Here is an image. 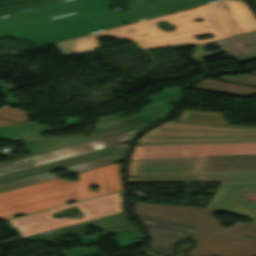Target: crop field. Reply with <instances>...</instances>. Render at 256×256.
I'll return each mask as SVG.
<instances>
[{
  "label": "crop field",
  "instance_id": "obj_20",
  "mask_svg": "<svg viewBox=\"0 0 256 256\" xmlns=\"http://www.w3.org/2000/svg\"><path fill=\"white\" fill-rule=\"evenodd\" d=\"M124 155H125V153L116 155V156H112V157H108V158H104V159H100V160H96V161H92V162H88V163H84V164H80V165L67 167L64 169H66L67 171H69L71 173H74V172H78V171H82V170H86V169L122 161L124 159Z\"/></svg>",
  "mask_w": 256,
  "mask_h": 256
},
{
  "label": "crop field",
  "instance_id": "obj_26",
  "mask_svg": "<svg viewBox=\"0 0 256 256\" xmlns=\"http://www.w3.org/2000/svg\"><path fill=\"white\" fill-rule=\"evenodd\" d=\"M0 87L3 89V91L6 93L7 95V101L10 104H17L19 103L18 100H16L12 95H10L7 91L10 89L9 86L7 84L4 83H0Z\"/></svg>",
  "mask_w": 256,
  "mask_h": 256
},
{
  "label": "crop field",
  "instance_id": "obj_5",
  "mask_svg": "<svg viewBox=\"0 0 256 256\" xmlns=\"http://www.w3.org/2000/svg\"><path fill=\"white\" fill-rule=\"evenodd\" d=\"M181 97L153 104L148 106L145 109V112L142 114H138L136 116H133L131 118H118V117H105V118H99V123L96 126V131L93 136L90 137H85L84 135H77V136H69V137H60V138H42L40 134L29 136L26 138H21L17 140H13L12 142L23 140L26 142V145L30 146L31 149L28 150L30 155H35L135 129H139L144 126H148V124L144 122H148L150 124H153L162 118H164L174 107H170L169 103L175 102L177 103ZM144 123V124H140ZM135 124H140V125H135ZM135 125V126H131ZM126 126H131V127H126ZM126 127V128H122ZM117 128H122L118 130H113ZM108 130H113L109 132H104ZM99 132H104L100 134H96Z\"/></svg>",
  "mask_w": 256,
  "mask_h": 256
},
{
  "label": "crop field",
  "instance_id": "obj_32",
  "mask_svg": "<svg viewBox=\"0 0 256 256\" xmlns=\"http://www.w3.org/2000/svg\"><path fill=\"white\" fill-rule=\"evenodd\" d=\"M11 123H16V122H10V121H7V120H4V119L0 118V126L1 125H6V124H11Z\"/></svg>",
  "mask_w": 256,
  "mask_h": 256
},
{
  "label": "crop field",
  "instance_id": "obj_14",
  "mask_svg": "<svg viewBox=\"0 0 256 256\" xmlns=\"http://www.w3.org/2000/svg\"><path fill=\"white\" fill-rule=\"evenodd\" d=\"M126 148H127V145L120 144V145H117V146H113V147L93 151V152H90V153L70 157V158H67V159H63V160L43 164V165H40V166L20 170V171H17V172L1 175L0 176V184H4V183L12 182V181H15V180H19V179H23V178H27V177H31V176H35V175H39V174H43V173H47L48 170H51V169H54V168H58V167L59 168H64V167H67V166L80 164V163H84V162H88V161H92V160H96V159H100V158H104V157L124 153L126 151Z\"/></svg>",
  "mask_w": 256,
  "mask_h": 256
},
{
  "label": "crop field",
  "instance_id": "obj_35",
  "mask_svg": "<svg viewBox=\"0 0 256 256\" xmlns=\"http://www.w3.org/2000/svg\"><path fill=\"white\" fill-rule=\"evenodd\" d=\"M256 3V0H253Z\"/></svg>",
  "mask_w": 256,
  "mask_h": 256
},
{
  "label": "crop field",
  "instance_id": "obj_21",
  "mask_svg": "<svg viewBox=\"0 0 256 256\" xmlns=\"http://www.w3.org/2000/svg\"><path fill=\"white\" fill-rule=\"evenodd\" d=\"M54 178H58V176L47 173V174L15 181L12 183L0 185V192L18 188V187H22V186H26V185H30V184H34V183H38V182H42V181H46V180H50V179H54Z\"/></svg>",
  "mask_w": 256,
  "mask_h": 256
},
{
  "label": "crop field",
  "instance_id": "obj_15",
  "mask_svg": "<svg viewBox=\"0 0 256 256\" xmlns=\"http://www.w3.org/2000/svg\"><path fill=\"white\" fill-rule=\"evenodd\" d=\"M216 43L222 49L214 52H205L203 48L206 45ZM194 54L192 57L197 63L203 62L201 58L211 56L218 52L226 51L232 58L241 56L247 53L256 51V31L251 33H246L242 35H237L229 38H224L216 41H211L203 44L196 45L193 49Z\"/></svg>",
  "mask_w": 256,
  "mask_h": 256
},
{
  "label": "crop field",
  "instance_id": "obj_33",
  "mask_svg": "<svg viewBox=\"0 0 256 256\" xmlns=\"http://www.w3.org/2000/svg\"><path fill=\"white\" fill-rule=\"evenodd\" d=\"M3 1H11V0H0V2H3Z\"/></svg>",
  "mask_w": 256,
  "mask_h": 256
},
{
  "label": "crop field",
  "instance_id": "obj_8",
  "mask_svg": "<svg viewBox=\"0 0 256 256\" xmlns=\"http://www.w3.org/2000/svg\"><path fill=\"white\" fill-rule=\"evenodd\" d=\"M74 204H76L79 209L90 212L91 216L83 217L78 220H75L73 218L54 219L52 218L50 213V210H53V209H49V210L37 212L34 214L11 219L10 222L12 223L13 227H18L27 222L47 221V226L43 228H39L35 230L24 228V229L18 230L19 233L23 237H25L41 231H45V230H49V229L61 227L64 225H68V224H72V223H76V222H80V221H84V220H88V219H92V218H96V217L121 211L118 192L93 198V199H89V200H85V201L74 203ZM70 205H73V204H70ZM66 206H69V205H66ZM62 207H65V206H62ZM58 208H61V207H58ZM54 209H57V208H54Z\"/></svg>",
  "mask_w": 256,
  "mask_h": 256
},
{
  "label": "crop field",
  "instance_id": "obj_6",
  "mask_svg": "<svg viewBox=\"0 0 256 256\" xmlns=\"http://www.w3.org/2000/svg\"><path fill=\"white\" fill-rule=\"evenodd\" d=\"M134 210L138 215L199 225L256 238V221L253 220L249 224L236 222L232 227L223 229L217 217L211 216L215 210L210 208L134 203Z\"/></svg>",
  "mask_w": 256,
  "mask_h": 256
},
{
  "label": "crop field",
  "instance_id": "obj_27",
  "mask_svg": "<svg viewBox=\"0 0 256 256\" xmlns=\"http://www.w3.org/2000/svg\"><path fill=\"white\" fill-rule=\"evenodd\" d=\"M192 243H186V244H182L179 246V253L176 256H182L184 250L189 247ZM146 252L148 253V255L150 256H162V255H158L156 253L150 252L148 250H146Z\"/></svg>",
  "mask_w": 256,
  "mask_h": 256
},
{
  "label": "crop field",
  "instance_id": "obj_25",
  "mask_svg": "<svg viewBox=\"0 0 256 256\" xmlns=\"http://www.w3.org/2000/svg\"><path fill=\"white\" fill-rule=\"evenodd\" d=\"M64 253L67 256H90V255L98 254L99 252L97 251L96 248L92 247V248H89V249L74 248V249L68 250Z\"/></svg>",
  "mask_w": 256,
  "mask_h": 256
},
{
  "label": "crop field",
  "instance_id": "obj_19",
  "mask_svg": "<svg viewBox=\"0 0 256 256\" xmlns=\"http://www.w3.org/2000/svg\"><path fill=\"white\" fill-rule=\"evenodd\" d=\"M177 120L222 124V125H227L228 123L227 120L223 119L222 113L191 111V110L183 111L182 115Z\"/></svg>",
  "mask_w": 256,
  "mask_h": 256
},
{
  "label": "crop field",
  "instance_id": "obj_30",
  "mask_svg": "<svg viewBox=\"0 0 256 256\" xmlns=\"http://www.w3.org/2000/svg\"><path fill=\"white\" fill-rule=\"evenodd\" d=\"M0 35H12L18 37L13 27L0 29Z\"/></svg>",
  "mask_w": 256,
  "mask_h": 256
},
{
  "label": "crop field",
  "instance_id": "obj_24",
  "mask_svg": "<svg viewBox=\"0 0 256 256\" xmlns=\"http://www.w3.org/2000/svg\"><path fill=\"white\" fill-rule=\"evenodd\" d=\"M217 79H222V80L242 83V84H246V85L256 86V76L251 75V74H241V75H236L235 77L226 76V77H220Z\"/></svg>",
  "mask_w": 256,
  "mask_h": 256
},
{
  "label": "crop field",
  "instance_id": "obj_10",
  "mask_svg": "<svg viewBox=\"0 0 256 256\" xmlns=\"http://www.w3.org/2000/svg\"><path fill=\"white\" fill-rule=\"evenodd\" d=\"M130 183L256 181V161L204 163L201 176L129 179Z\"/></svg>",
  "mask_w": 256,
  "mask_h": 256
},
{
  "label": "crop field",
  "instance_id": "obj_23",
  "mask_svg": "<svg viewBox=\"0 0 256 256\" xmlns=\"http://www.w3.org/2000/svg\"><path fill=\"white\" fill-rule=\"evenodd\" d=\"M179 93L180 92H179V86H178V87L163 90L162 92H159L156 96L147 98V100L150 102V104H152V103L179 97L180 96Z\"/></svg>",
  "mask_w": 256,
  "mask_h": 256
},
{
  "label": "crop field",
  "instance_id": "obj_31",
  "mask_svg": "<svg viewBox=\"0 0 256 256\" xmlns=\"http://www.w3.org/2000/svg\"><path fill=\"white\" fill-rule=\"evenodd\" d=\"M24 123L29 124V125H33V126H37V127H41V128H45V129H48V130L54 129V128H50V127H46V126H42V125L30 123V122H24Z\"/></svg>",
  "mask_w": 256,
  "mask_h": 256
},
{
  "label": "crop field",
  "instance_id": "obj_29",
  "mask_svg": "<svg viewBox=\"0 0 256 256\" xmlns=\"http://www.w3.org/2000/svg\"><path fill=\"white\" fill-rule=\"evenodd\" d=\"M254 58H256V52L248 54V55H244V56H241V57H238V58H234V59L237 62L241 63V62L248 61V60H251V59H254Z\"/></svg>",
  "mask_w": 256,
  "mask_h": 256
},
{
  "label": "crop field",
  "instance_id": "obj_12",
  "mask_svg": "<svg viewBox=\"0 0 256 256\" xmlns=\"http://www.w3.org/2000/svg\"><path fill=\"white\" fill-rule=\"evenodd\" d=\"M89 225H94L98 228L103 229L104 233L90 236V237H83L82 235L85 233L84 227ZM127 232H132V230L126 220L124 213L122 212V213L114 214L104 218L96 219L93 221L85 222L82 224H78V225H74V226H70V227H66V228H62V229H58V230H54V231H50L42 234H37V235L25 237V238L47 239V240L54 241L61 236L72 234V235H77L79 238H81L85 244H90V243L96 242L99 236L116 234L120 242V245L125 246L132 243Z\"/></svg>",
  "mask_w": 256,
  "mask_h": 256
},
{
  "label": "crop field",
  "instance_id": "obj_7",
  "mask_svg": "<svg viewBox=\"0 0 256 256\" xmlns=\"http://www.w3.org/2000/svg\"><path fill=\"white\" fill-rule=\"evenodd\" d=\"M256 143H206L136 146L131 159L203 157L205 155L255 154Z\"/></svg>",
  "mask_w": 256,
  "mask_h": 256
},
{
  "label": "crop field",
  "instance_id": "obj_2",
  "mask_svg": "<svg viewBox=\"0 0 256 256\" xmlns=\"http://www.w3.org/2000/svg\"><path fill=\"white\" fill-rule=\"evenodd\" d=\"M197 17H201L204 21H195L194 18ZM160 20H167L176 25L175 31L167 32L157 28L156 21ZM130 29L133 30L130 31ZM255 30L256 17L246 3L242 0H221L56 44L64 55H68L99 48L96 39L98 36L129 39L138 42L140 48L146 49L180 43L199 44ZM207 33H212L215 37L199 41L194 37V35ZM143 34L146 35L143 36Z\"/></svg>",
  "mask_w": 256,
  "mask_h": 256
},
{
  "label": "crop field",
  "instance_id": "obj_13",
  "mask_svg": "<svg viewBox=\"0 0 256 256\" xmlns=\"http://www.w3.org/2000/svg\"><path fill=\"white\" fill-rule=\"evenodd\" d=\"M255 190L256 183L221 184L207 207L256 220V205L242 200L247 192Z\"/></svg>",
  "mask_w": 256,
  "mask_h": 256
},
{
  "label": "crop field",
  "instance_id": "obj_17",
  "mask_svg": "<svg viewBox=\"0 0 256 256\" xmlns=\"http://www.w3.org/2000/svg\"><path fill=\"white\" fill-rule=\"evenodd\" d=\"M63 0H17L11 2L0 3V16L14 13L16 11H24L35 7H40Z\"/></svg>",
  "mask_w": 256,
  "mask_h": 256
},
{
  "label": "crop field",
  "instance_id": "obj_22",
  "mask_svg": "<svg viewBox=\"0 0 256 256\" xmlns=\"http://www.w3.org/2000/svg\"><path fill=\"white\" fill-rule=\"evenodd\" d=\"M28 115H31V113L22 112L16 108L12 109L10 107H5L0 110V116L18 122L28 121Z\"/></svg>",
  "mask_w": 256,
  "mask_h": 256
},
{
  "label": "crop field",
  "instance_id": "obj_4",
  "mask_svg": "<svg viewBox=\"0 0 256 256\" xmlns=\"http://www.w3.org/2000/svg\"><path fill=\"white\" fill-rule=\"evenodd\" d=\"M138 217L152 237L151 248L165 254H171L175 244L189 238L199 227L144 216ZM199 228L200 230L191 238L197 243L188 251L187 256H256V239L254 238L204 227Z\"/></svg>",
  "mask_w": 256,
  "mask_h": 256
},
{
  "label": "crop field",
  "instance_id": "obj_16",
  "mask_svg": "<svg viewBox=\"0 0 256 256\" xmlns=\"http://www.w3.org/2000/svg\"><path fill=\"white\" fill-rule=\"evenodd\" d=\"M194 89L206 90L212 92L225 93L236 96H249L256 94V88L243 87L233 84H228L220 81H215L211 79H204L195 84Z\"/></svg>",
  "mask_w": 256,
  "mask_h": 256
},
{
  "label": "crop field",
  "instance_id": "obj_1",
  "mask_svg": "<svg viewBox=\"0 0 256 256\" xmlns=\"http://www.w3.org/2000/svg\"><path fill=\"white\" fill-rule=\"evenodd\" d=\"M217 0H127L128 11L108 9L110 0H66L0 18L18 36L37 46L177 12Z\"/></svg>",
  "mask_w": 256,
  "mask_h": 256
},
{
  "label": "crop field",
  "instance_id": "obj_18",
  "mask_svg": "<svg viewBox=\"0 0 256 256\" xmlns=\"http://www.w3.org/2000/svg\"><path fill=\"white\" fill-rule=\"evenodd\" d=\"M45 130L32 127L29 125L16 123L0 127V139H17L37 133H41Z\"/></svg>",
  "mask_w": 256,
  "mask_h": 256
},
{
  "label": "crop field",
  "instance_id": "obj_9",
  "mask_svg": "<svg viewBox=\"0 0 256 256\" xmlns=\"http://www.w3.org/2000/svg\"><path fill=\"white\" fill-rule=\"evenodd\" d=\"M252 160H256V154L205 156L203 158L130 160L128 176L199 174L202 162Z\"/></svg>",
  "mask_w": 256,
  "mask_h": 256
},
{
  "label": "crop field",
  "instance_id": "obj_34",
  "mask_svg": "<svg viewBox=\"0 0 256 256\" xmlns=\"http://www.w3.org/2000/svg\"><path fill=\"white\" fill-rule=\"evenodd\" d=\"M252 73L256 74V71H255V72H252Z\"/></svg>",
  "mask_w": 256,
  "mask_h": 256
},
{
  "label": "crop field",
  "instance_id": "obj_28",
  "mask_svg": "<svg viewBox=\"0 0 256 256\" xmlns=\"http://www.w3.org/2000/svg\"><path fill=\"white\" fill-rule=\"evenodd\" d=\"M43 226H46V222L27 223V224H24V225L16 228V229L23 228V227H27V228H30V229H35V228H39V227H43Z\"/></svg>",
  "mask_w": 256,
  "mask_h": 256
},
{
  "label": "crop field",
  "instance_id": "obj_11",
  "mask_svg": "<svg viewBox=\"0 0 256 256\" xmlns=\"http://www.w3.org/2000/svg\"><path fill=\"white\" fill-rule=\"evenodd\" d=\"M141 130V129H140ZM140 130L115 135L39 155L0 164V175L129 141Z\"/></svg>",
  "mask_w": 256,
  "mask_h": 256
},
{
  "label": "crop field",
  "instance_id": "obj_3",
  "mask_svg": "<svg viewBox=\"0 0 256 256\" xmlns=\"http://www.w3.org/2000/svg\"><path fill=\"white\" fill-rule=\"evenodd\" d=\"M121 164L115 163L79 173V181L58 178L39 184L0 193V218L11 219L14 214H28L65 205L124 189L120 175ZM97 184L99 190L90 191Z\"/></svg>",
  "mask_w": 256,
  "mask_h": 256
}]
</instances>
